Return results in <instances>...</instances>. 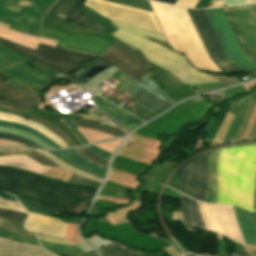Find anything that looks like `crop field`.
Instances as JSON below:
<instances>
[{
	"label": "crop field",
	"instance_id": "crop-field-36",
	"mask_svg": "<svg viewBox=\"0 0 256 256\" xmlns=\"http://www.w3.org/2000/svg\"><path fill=\"white\" fill-rule=\"evenodd\" d=\"M0 217L23 223L26 214L0 209Z\"/></svg>",
	"mask_w": 256,
	"mask_h": 256
},
{
	"label": "crop field",
	"instance_id": "crop-field-4",
	"mask_svg": "<svg viewBox=\"0 0 256 256\" xmlns=\"http://www.w3.org/2000/svg\"><path fill=\"white\" fill-rule=\"evenodd\" d=\"M180 196L181 211L186 228L193 230V227H200L201 230L204 229L206 231L226 235L240 243H243L230 206L203 204L195 201L203 226L202 229L194 201L182 194H180Z\"/></svg>",
	"mask_w": 256,
	"mask_h": 256
},
{
	"label": "crop field",
	"instance_id": "crop-field-60",
	"mask_svg": "<svg viewBox=\"0 0 256 256\" xmlns=\"http://www.w3.org/2000/svg\"><path fill=\"white\" fill-rule=\"evenodd\" d=\"M256 139V138H255Z\"/></svg>",
	"mask_w": 256,
	"mask_h": 256
},
{
	"label": "crop field",
	"instance_id": "crop-field-45",
	"mask_svg": "<svg viewBox=\"0 0 256 256\" xmlns=\"http://www.w3.org/2000/svg\"><path fill=\"white\" fill-rule=\"evenodd\" d=\"M167 3L175 4L176 0H159ZM199 0H177L175 5L195 8Z\"/></svg>",
	"mask_w": 256,
	"mask_h": 256
},
{
	"label": "crop field",
	"instance_id": "crop-field-25",
	"mask_svg": "<svg viewBox=\"0 0 256 256\" xmlns=\"http://www.w3.org/2000/svg\"><path fill=\"white\" fill-rule=\"evenodd\" d=\"M0 228L11 233L36 239V237L33 234L23 229L22 224H19L16 222H12V221H8L0 218Z\"/></svg>",
	"mask_w": 256,
	"mask_h": 256
},
{
	"label": "crop field",
	"instance_id": "crop-field-46",
	"mask_svg": "<svg viewBox=\"0 0 256 256\" xmlns=\"http://www.w3.org/2000/svg\"><path fill=\"white\" fill-rule=\"evenodd\" d=\"M36 235L41 240L72 245L69 241H67L65 238H62V237H52V236L38 235V234Z\"/></svg>",
	"mask_w": 256,
	"mask_h": 256
},
{
	"label": "crop field",
	"instance_id": "crop-field-53",
	"mask_svg": "<svg viewBox=\"0 0 256 256\" xmlns=\"http://www.w3.org/2000/svg\"><path fill=\"white\" fill-rule=\"evenodd\" d=\"M0 196L6 198V199H8V200H12V201L18 202L15 198H13V197L10 196L9 194H7V193H5V192H3V191H1V190H0Z\"/></svg>",
	"mask_w": 256,
	"mask_h": 256
},
{
	"label": "crop field",
	"instance_id": "crop-field-38",
	"mask_svg": "<svg viewBox=\"0 0 256 256\" xmlns=\"http://www.w3.org/2000/svg\"><path fill=\"white\" fill-rule=\"evenodd\" d=\"M49 152L52 153L53 155H55L56 157L62 159L63 161L69 163L70 165H72V166H74V167H76V168H78V169H80V170H82L84 172H87L89 174L95 175V176L100 177L102 179L104 178L103 176H101V175H99L97 173H94L92 171H89V170L81 167L80 165H78L77 163H75L74 161H72L71 159H69L68 157L64 156L63 154H61L58 151H49Z\"/></svg>",
	"mask_w": 256,
	"mask_h": 256
},
{
	"label": "crop field",
	"instance_id": "crop-field-16",
	"mask_svg": "<svg viewBox=\"0 0 256 256\" xmlns=\"http://www.w3.org/2000/svg\"><path fill=\"white\" fill-rule=\"evenodd\" d=\"M0 256H55L41 247L0 238Z\"/></svg>",
	"mask_w": 256,
	"mask_h": 256
},
{
	"label": "crop field",
	"instance_id": "crop-field-35",
	"mask_svg": "<svg viewBox=\"0 0 256 256\" xmlns=\"http://www.w3.org/2000/svg\"><path fill=\"white\" fill-rule=\"evenodd\" d=\"M109 1H113V2H117V3L125 4V5H128V6H132V7L152 11V9H151L147 0H109Z\"/></svg>",
	"mask_w": 256,
	"mask_h": 256
},
{
	"label": "crop field",
	"instance_id": "crop-field-22",
	"mask_svg": "<svg viewBox=\"0 0 256 256\" xmlns=\"http://www.w3.org/2000/svg\"><path fill=\"white\" fill-rule=\"evenodd\" d=\"M0 165H9V166H16V167H21L36 173L41 174L42 170L44 167L40 165L33 164L31 162L19 160L15 157L12 156H7V157H0Z\"/></svg>",
	"mask_w": 256,
	"mask_h": 256
},
{
	"label": "crop field",
	"instance_id": "crop-field-20",
	"mask_svg": "<svg viewBox=\"0 0 256 256\" xmlns=\"http://www.w3.org/2000/svg\"><path fill=\"white\" fill-rule=\"evenodd\" d=\"M198 164L200 170V189L199 200L206 202L207 189H208V170H207V153L198 157Z\"/></svg>",
	"mask_w": 256,
	"mask_h": 256
},
{
	"label": "crop field",
	"instance_id": "crop-field-59",
	"mask_svg": "<svg viewBox=\"0 0 256 256\" xmlns=\"http://www.w3.org/2000/svg\"><path fill=\"white\" fill-rule=\"evenodd\" d=\"M0 156H6V155L0 154Z\"/></svg>",
	"mask_w": 256,
	"mask_h": 256
},
{
	"label": "crop field",
	"instance_id": "crop-field-17",
	"mask_svg": "<svg viewBox=\"0 0 256 256\" xmlns=\"http://www.w3.org/2000/svg\"><path fill=\"white\" fill-rule=\"evenodd\" d=\"M245 244L256 245V219L249 213L233 207Z\"/></svg>",
	"mask_w": 256,
	"mask_h": 256
},
{
	"label": "crop field",
	"instance_id": "crop-field-9",
	"mask_svg": "<svg viewBox=\"0 0 256 256\" xmlns=\"http://www.w3.org/2000/svg\"><path fill=\"white\" fill-rule=\"evenodd\" d=\"M85 5L110 20L161 31L154 14L151 12L103 0H87Z\"/></svg>",
	"mask_w": 256,
	"mask_h": 256
},
{
	"label": "crop field",
	"instance_id": "crop-field-10",
	"mask_svg": "<svg viewBox=\"0 0 256 256\" xmlns=\"http://www.w3.org/2000/svg\"><path fill=\"white\" fill-rule=\"evenodd\" d=\"M256 17V6H250ZM249 6L233 7L252 46L256 49V19ZM232 7L222 8L242 50L256 63V50L251 46Z\"/></svg>",
	"mask_w": 256,
	"mask_h": 256
},
{
	"label": "crop field",
	"instance_id": "crop-field-23",
	"mask_svg": "<svg viewBox=\"0 0 256 256\" xmlns=\"http://www.w3.org/2000/svg\"><path fill=\"white\" fill-rule=\"evenodd\" d=\"M191 174V185L189 189V196L197 199L199 189V170L197 165V159L189 163Z\"/></svg>",
	"mask_w": 256,
	"mask_h": 256
},
{
	"label": "crop field",
	"instance_id": "crop-field-55",
	"mask_svg": "<svg viewBox=\"0 0 256 256\" xmlns=\"http://www.w3.org/2000/svg\"><path fill=\"white\" fill-rule=\"evenodd\" d=\"M256 3V0H245L244 4Z\"/></svg>",
	"mask_w": 256,
	"mask_h": 256
},
{
	"label": "crop field",
	"instance_id": "crop-field-47",
	"mask_svg": "<svg viewBox=\"0 0 256 256\" xmlns=\"http://www.w3.org/2000/svg\"><path fill=\"white\" fill-rule=\"evenodd\" d=\"M29 157L35 159L36 161H38L39 163H41L42 165H45V166H57L56 164H54L53 162H51L49 159H47L46 157H44L41 154L30 155Z\"/></svg>",
	"mask_w": 256,
	"mask_h": 256
},
{
	"label": "crop field",
	"instance_id": "crop-field-33",
	"mask_svg": "<svg viewBox=\"0 0 256 256\" xmlns=\"http://www.w3.org/2000/svg\"><path fill=\"white\" fill-rule=\"evenodd\" d=\"M189 168L188 165L181 168V175H180V192L188 196V188H189Z\"/></svg>",
	"mask_w": 256,
	"mask_h": 256
},
{
	"label": "crop field",
	"instance_id": "crop-field-42",
	"mask_svg": "<svg viewBox=\"0 0 256 256\" xmlns=\"http://www.w3.org/2000/svg\"><path fill=\"white\" fill-rule=\"evenodd\" d=\"M84 154H86L89 158H91L92 160L100 163V164H103V165H108V159H105V158H102L92 152H90L86 147H83V148H79Z\"/></svg>",
	"mask_w": 256,
	"mask_h": 256
},
{
	"label": "crop field",
	"instance_id": "crop-field-57",
	"mask_svg": "<svg viewBox=\"0 0 256 256\" xmlns=\"http://www.w3.org/2000/svg\"><path fill=\"white\" fill-rule=\"evenodd\" d=\"M9 25L0 23V27H6L8 28Z\"/></svg>",
	"mask_w": 256,
	"mask_h": 256
},
{
	"label": "crop field",
	"instance_id": "crop-field-29",
	"mask_svg": "<svg viewBox=\"0 0 256 256\" xmlns=\"http://www.w3.org/2000/svg\"><path fill=\"white\" fill-rule=\"evenodd\" d=\"M61 153H63L64 155L68 156L69 158H71L72 160H74L75 162H77L78 164H80L81 166L89 169V170H92V171H95L97 173H100L102 175H105V170L99 168V167H96L86 161H84L79 155H77L75 152H73L72 150H68V151H60Z\"/></svg>",
	"mask_w": 256,
	"mask_h": 256
},
{
	"label": "crop field",
	"instance_id": "crop-field-2",
	"mask_svg": "<svg viewBox=\"0 0 256 256\" xmlns=\"http://www.w3.org/2000/svg\"><path fill=\"white\" fill-rule=\"evenodd\" d=\"M212 59L224 71H236L256 67V64L241 50L231 27L221 8L204 10L215 34L225 52H223L213 29L203 10L188 9Z\"/></svg>",
	"mask_w": 256,
	"mask_h": 256
},
{
	"label": "crop field",
	"instance_id": "crop-field-37",
	"mask_svg": "<svg viewBox=\"0 0 256 256\" xmlns=\"http://www.w3.org/2000/svg\"><path fill=\"white\" fill-rule=\"evenodd\" d=\"M16 197V196H15ZM22 204L26 205L27 207L29 208H32V209H36V210H40V211H43V212H47V213H51V214H55V215H58V216H61V217H64V218H69L68 216L66 215H61L59 213V211H55V210H52V209H49V208H45V207H41V206H38L36 204H33L29 201H26L22 198H19V197H16ZM25 206V207H26Z\"/></svg>",
	"mask_w": 256,
	"mask_h": 256
},
{
	"label": "crop field",
	"instance_id": "crop-field-1",
	"mask_svg": "<svg viewBox=\"0 0 256 256\" xmlns=\"http://www.w3.org/2000/svg\"><path fill=\"white\" fill-rule=\"evenodd\" d=\"M0 188L69 214L81 213L97 190L95 187L72 185L9 167H0Z\"/></svg>",
	"mask_w": 256,
	"mask_h": 256
},
{
	"label": "crop field",
	"instance_id": "crop-field-12",
	"mask_svg": "<svg viewBox=\"0 0 256 256\" xmlns=\"http://www.w3.org/2000/svg\"><path fill=\"white\" fill-rule=\"evenodd\" d=\"M41 37L57 40L68 49L96 55L100 54L112 44L106 40L95 38L93 36H76L51 30H42Z\"/></svg>",
	"mask_w": 256,
	"mask_h": 256
},
{
	"label": "crop field",
	"instance_id": "crop-field-34",
	"mask_svg": "<svg viewBox=\"0 0 256 256\" xmlns=\"http://www.w3.org/2000/svg\"><path fill=\"white\" fill-rule=\"evenodd\" d=\"M0 237L10 239V240H14L16 242H21V243L40 246L37 240L21 237V236L15 235V234H11V233H8V232L3 231L1 229H0Z\"/></svg>",
	"mask_w": 256,
	"mask_h": 256
},
{
	"label": "crop field",
	"instance_id": "crop-field-24",
	"mask_svg": "<svg viewBox=\"0 0 256 256\" xmlns=\"http://www.w3.org/2000/svg\"><path fill=\"white\" fill-rule=\"evenodd\" d=\"M39 242L44 248H46L54 253L69 254V253L83 252L81 249L77 248L76 246H68V245H63V244L49 243V242H45V241H41V240H39Z\"/></svg>",
	"mask_w": 256,
	"mask_h": 256
},
{
	"label": "crop field",
	"instance_id": "crop-field-52",
	"mask_svg": "<svg viewBox=\"0 0 256 256\" xmlns=\"http://www.w3.org/2000/svg\"><path fill=\"white\" fill-rule=\"evenodd\" d=\"M96 254L94 251L80 253V254H71V255H58V256H87V255H93Z\"/></svg>",
	"mask_w": 256,
	"mask_h": 256
},
{
	"label": "crop field",
	"instance_id": "crop-field-11",
	"mask_svg": "<svg viewBox=\"0 0 256 256\" xmlns=\"http://www.w3.org/2000/svg\"><path fill=\"white\" fill-rule=\"evenodd\" d=\"M98 56L136 80L150 71L136 54L117 42Z\"/></svg>",
	"mask_w": 256,
	"mask_h": 256
},
{
	"label": "crop field",
	"instance_id": "crop-field-43",
	"mask_svg": "<svg viewBox=\"0 0 256 256\" xmlns=\"http://www.w3.org/2000/svg\"><path fill=\"white\" fill-rule=\"evenodd\" d=\"M1 152L8 153L11 155H19V154H37L38 152L34 150H26V149H15V148H1Z\"/></svg>",
	"mask_w": 256,
	"mask_h": 256
},
{
	"label": "crop field",
	"instance_id": "crop-field-39",
	"mask_svg": "<svg viewBox=\"0 0 256 256\" xmlns=\"http://www.w3.org/2000/svg\"><path fill=\"white\" fill-rule=\"evenodd\" d=\"M0 139H9V140H14V141H17V142H20L28 147H33V148H41L40 146L24 139V138H21V137H18V136H14V135H10V134H6V133H0ZM43 149V148H41Z\"/></svg>",
	"mask_w": 256,
	"mask_h": 256
},
{
	"label": "crop field",
	"instance_id": "crop-field-3",
	"mask_svg": "<svg viewBox=\"0 0 256 256\" xmlns=\"http://www.w3.org/2000/svg\"><path fill=\"white\" fill-rule=\"evenodd\" d=\"M119 29L112 35L130 46L140 50L144 57L157 66H160L176 76L187 85L217 82L201 71L194 69L184 55L172 52L142 35L165 40L164 33H158L139 27L125 25L111 21Z\"/></svg>",
	"mask_w": 256,
	"mask_h": 256
},
{
	"label": "crop field",
	"instance_id": "crop-field-5",
	"mask_svg": "<svg viewBox=\"0 0 256 256\" xmlns=\"http://www.w3.org/2000/svg\"><path fill=\"white\" fill-rule=\"evenodd\" d=\"M56 0H0V22L9 30L36 36L41 17Z\"/></svg>",
	"mask_w": 256,
	"mask_h": 256
},
{
	"label": "crop field",
	"instance_id": "crop-field-14",
	"mask_svg": "<svg viewBox=\"0 0 256 256\" xmlns=\"http://www.w3.org/2000/svg\"><path fill=\"white\" fill-rule=\"evenodd\" d=\"M25 227L32 232L64 237L66 224L55 218L29 213Z\"/></svg>",
	"mask_w": 256,
	"mask_h": 256
},
{
	"label": "crop field",
	"instance_id": "crop-field-50",
	"mask_svg": "<svg viewBox=\"0 0 256 256\" xmlns=\"http://www.w3.org/2000/svg\"><path fill=\"white\" fill-rule=\"evenodd\" d=\"M73 151H75L77 154H79L84 160H86V161H88V162H90V163H92V164H94V165H97V166H99V167H102V168H104V169L107 168L106 166L100 165V164H98V163L92 161L91 159H89L86 155H84V154H83L81 151H79L78 149H74Z\"/></svg>",
	"mask_w": 256,
	"mask_h": 256
},
{
	"label": "crop field",
	"instance_id": "crop-field-32",
	"mask_svg": "<svg viewBox=\"0 0 256 256\" xmlns=\"http://www.w3.org/2000/svg\"><path fill=\"white\" fill-rule=\"evenodd\" d=\"M111 77L115 78L116 80L120 81L121 83L117 85L116 87L119 88L122 92L127 89L129 86H131L136 81L130 78L129 76L125 75L121 71H117L114 73Z\"/></svg>",
	"mask_w": 256,
	"mask_h": 256
},
{
	"label": "crop field",
	"instance_id": "crop-field-13",
	"mask_svg": "<svg viewBox=\"0 0 256 256\" xmlns=\"http://www.w3.org/2000/svg\"><path fill=\"white\" fill-rule=\"evenodd\" d=\"M85 0H59L47 15L60 18L71 23L102 31L98 25L81 15Z\"/></svg>",
	"mask_w": 256,
	"mask_h": 256
},
{
	"label": "crop field",
	"instance_id": "crop-field-30",
	"mask_svg": "<svg viewBox=\"0 0 256 256\" xmlns=\"http://www.w3.org/2000/svg\"><path fill=\"white\" fill-rule=\"evenodd\" d=\"M0 125L2 126H9V127H13V128H18V129H22L25 131H28L34 135H36L37 137H39L40 139H42L43 141H45L46 143H48L51 147H53L54 149H58L60 148L58 145H56L54 142H52L50 139H48L47 137H45L44 135H42L41 133L27 127L24 125H20V124H15V123H9V122H3L0 121Z\"/></svg>",
	"mask_w": 256,
	"mask_h": 256
},
{
	"label": "crop field",
	"instance_id": "crop-field-56",
	"mask_svg": "<svg viewBox=\"0 0 256 256\" xmlns=\"http://www.w3.org/2000/svg\"><path fill=\"white\" fill-rule=\"evenodd\" d=\"M8 79H6V78H4V77H2V76H0V82H5V81H7Z\"/></svg>",
	"mask_w": 256,
	"mask_h": 256
},
{
	"label": "crop field",
	"instance_id": "crop-field-58",
	"mask_svg": "<svg viewBox=\"0 0 256 256\" xmlns=\"http://www.w3.org/2000/svg\"><path fill=\"white\" fill-rule=\"evenodd\" d=\"M255 215H256V195H255V211H254Z\"/></svg>",
	"mask_w": 256,
	"mask_h": 256
},
{
	"label": "crop field",
	"instance_id": "crop-field-41",
	"mask_svg": "<svg viewBox=\"0 0 256 256\" xmlns=\"http://www.w3.org/2000/svg\"><path fill=\"white\" fill-rule=\"evenodd\" d=\"M69 182L72 183H85V184H91V185H100V182H97L95 180L92 179H88L82 176H78L76 174L73 173V175L71 176V178L69 179Z\"/></svg>",
	"mask_w": 256,
	"mask_h": 256
},
{
	"label": "crop field",
	"instance_id": "crop-field-49",
	"mask_svg": "<svg viewBox=\"0 0 256 256\" xmlns=\"http://www.w3.org/2000/svg\"><path fill=\"white\" fill-rule=\"evenodd\" d=\"M87 148L90 149L91 151H93L94 153L102 156V157L110 158V156H111V153L102 151V150L96 148L94 145L87 146Z\"/></svg>",
	"mask_w": 256,
	"mask_h": 256
},
{
	"label": "crop field",
	"instance_id": "crop-field-40",
	"mask_svg": "<svg viewBox=\"0 0 256 256\" xmlns=\"http://www.w3.org/2000/svg\"><path fill=\"white\" fill-rule=\"evenodd\" d=\"M0 202L14 206V207H11V206L0 204V208L10 209V210H14V211L27 213L26 209L19 203L11 202V201H8V200L3 199V198H0Z\"/></svg>",
	"mask_w": 256,
	"mask_h": 256
},
{
	"label": "crop field",
	"instance_id": "crop-field-27",
	"mask_svg": "<svg viewBox=\"0 0 256 256\" xmlns=\"http://www.w3.org/2000/svg\"><path fill=\"white\" fill-rule=\"evenodd\" d=\"M25 118H28L30 120H33V121H36V122L40 123L41 125H43L47 129L52 131L54 134H56L58 137H60L69 147L75 146L59 129H57L52 124H50L49 122L44 120L42 117H40V116H29V117H25Z\"/></svg>",
	"mask_w": 256,
	"mask_h": 256
},
{
	"label": "crop field",
	"instance_id": "crop-field-19",
	"mask_svg": "<svg viewBox=\"0 0 256 256\" xmlns=\"http://www.w3.org/2000/svg\"><path fill=\"white\" fill-rule=\"evenodd\" d=\"M218 151L219 149L208 152L209 189L207 202L211 203H215L216 200Z\"/></svg>",
	"mask_w": 256,
	"mask_h": 256
},
{
	"label": "crop field",
	"instance_id": "crop-field-7",
	"mask_svg": "<svg viewBox=\"0 0 256 256\" xmlns=\"http://www.w3.org/2000/svg\"><path fill=\"white\" fill-rule=\"evenodd\" d=\"M126 92L136 98L138 104L135 105V116L144 121L153 118L176 102L162 90L151 72Z\"/></svg>",
	"mask_w": 256,
	"mask_h": 256
},
{
	"label": "crop field",
	"instance_id": "crop-field-44",
	"mask_svg": "<svg viewBox=\"0 0 256 256\" xmlns=\"http://www.w3.org/2000/svg\"><path fill=\"white\" fill-rule=\"evenodd\" d=\"M62 122H64L75 134V136L78 138V140L81 142L82 145L88 144V142L85 140V138L79 133V131L74 127L72 122L70 121L69 118L62 119Z\"/></svg>",
	"mask_w": 256,
	"mask_h": 256
},
{
	"label": "crop field",
	"instance_id": "crop-field-6",
	"mask_svg": "<svg viewBox=\"0 0 256 256\" xmlns=\"http://www.w3.org/2000/svg\"><path fill=\"white\" fill-rule=\"evenodd\" d=\"M0 42L5 44L11 51L32 58L38 63L66 76L69 72L74 71L81 64L95 57L42 44H39L36 51H34L3 39H0Z\"/></svg>",
	"mask_w": 256,
	"mask_h": 256
},
{
	"label": "crop field",
	"instance_id": "crop-field-8",
	"mask_svg": "<svg viewBox=\"0 0 256 256\" xmlns=\"http://www.w3.org/2000/svg\"><path fill=\"white\" fill-rule=\"evenodd\" d=\"M0 75L9 79L6 84L38 96L52 81L36 72L27 62L4 54H0Z\"/></svg>",
	"mask_w": 256,
	"mask_h": 256
},
{
	"label": "crop field",
	"instance_id": "crop-field-51",
	"mask_svg": "<svg viewBox=\"0 0 256 256\" xmlns=\"http://www.w3.org/2000/svg\"><path fill=\"white\" fill-rule=\"evenodd\" d=\"M117 42H119V43L122 44L123 46L129 48L130 50L134 51L133 49H131L130 47L126 46V45L123 44L122 42H120V41H117ZM134 52H135V51H134ZM136 53H137V52H136ZM137 54H138V53H137ZM138 56L145 62V64L149 67L150 70L154 68V66H152L153 64L151 65L150 63H148L140 54H138Z\"/></svg>",
	"mask_w": 256,
	"mask_h": 256
},
{
	"label": "crop field",
	"instance_id": "crop-field-18",
	"mask_svg": "<svg viewBox=\"0 0 256 256\" xmlns=\"http://www.w3.org/2000/svg\"><path fill=\"white\" fill-rule=\"evenodd\" d=\"M0 97L25 106L34 105L41 102V99L33 94L2 83H0Z\"/></svg>",
	"mask_w": 256,
	"mask_h": 256
},
{
	"label": "crop field",
	"instance_id": "crop-field-31",
	"mask_svg": "<svg viewBox=\"0 0 256 256\" xmlns=\"http://www.w3.org/2000/svg\"><path fill=\"white\" fill-rule=\"evenodd\" d=\"M38 152H40L41 154H43L44 156H46L47 158H49L50 160L54 161L55 163H57L58 165H60L61 167L65 168L67 170H70V171L75 172L77 174H80V175H83L85 177L92 178V179H95V180H98V181L102 182V179L97 178V177L92 176V175H89L87 173L81 172V171H79V170H77V169L67 165L66 163H64L63 161L59 160L58 158H56L55 156H53L52 154H50L47 151H38Z\"/></svg>",
	"mask_w": 256,
	"mask_h": 256
},
{
	"label": "crop field",
	"instance_id": "crop-field-21",
	"mask_svg": "<svg viewBox=\"0 0 256 256\" xmlns=\"http://www.w3.org/2000/svg\"><path fill=\"white\" fill-rule=\"evenodd\" d=\"M98 251L101 256H143L142 253L130 251L118 243L98 248Z\"/></svg>",
	"mask_w": 256,
	"mask_h": 256
},
{
	"label": "crop field",
	"instance_id": "crop-field-28",
	"mask_svg": "<svg viewBox=\"0 0 256 256\" xmlns=\"http://www.w3.org/2000/svg\"><path fill=\"white\" fill-rule=\"evenodd\" d=\"M0 132H7V133L15 134V135L24 137V138H26V139H28L30 141H33V142L39 144L40 146H42L43 148L53 149L49 145H47L45 142L40 140L39 138H37V137H35V136L25 132V131H21V130L9 128V127H1L0 126Z\"/></svg>",
	"mask_w": 256,
	"mask_h": 256
},
{
	"label": "crop field",
	"instance_id": "crop-field-15",
	"mask_svg": "<svg viewBox=\"0 0 256 256\" xmlns=\"http://www.w3.org/2000/svg\"><path fill=\"white\" fill-rule=\"evenodd\" d=\"M91 100L99 107L97 109H99L105 115L114 119L130 131H133L134 129L145 123L99 96L93 97L91 98Z\"/></svg>",
	"mask_w": 256,
	"mask_h": 256
},
{
	"label": "crop field",
	"instance_id": "crop-field-48",
	"mask_svg": "<svg viewBox=\"0 0 256 256\" xmlns=\"http://www.w3.org/2000/svg\"><path fill=\"white\" fill-rule=\"evenodd\" d=\"M0 106H2L4 108L14 109V110H22V109L27 108V107H24V106L13 104V103L8 102V101L3 100V99H0Z\"/></svg>",
	"mask_w": 256,
	"mask_h": 256
},
{
	"label": "crop field",
	"instance_id": "crop-field-26",
	"mask_svg": "<svg viewBox=\"0 0 256 256\" xmlns=\"http://www.w3.org/2000/svg\"><path fill=\"white\" fill-rule=\"evenodd\" d=\"M71 121L74 123V125L76 127L91 128V129H95L97 131L110 133V134H113L115 136H120V135H126L127 134V132H123V131H120V130H117V129H114V128H111V127L100 125V124L74 121V120H71Z\"/></svg>",
	"mask_w": 256,
	"mask_h": 256
},
{
	"label": "crop field",
	"instance_id": "crop-field-54",
	"mask_svg": "<svg viewBox=\"0 0 256 256\" xmlns=\"http://www.w3.org/2000/svg\"><path fill=\"white\" fill-rule=\"evenodd\" d=\"M16 157L33 161L31 158H29V157H27V156H16ZM33 162H35V161H33Z\"/></svg>",
	"mask_w": 256,
	"mask_h": 256
}]
</instances>
